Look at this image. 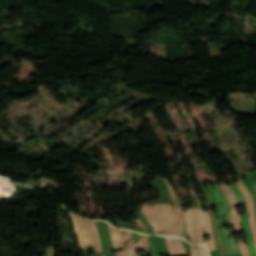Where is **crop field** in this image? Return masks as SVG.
<instances>
[{"instance_id": "2", "label": "crop field", "mask_w": 256, "mask_h": 256, "mask_svg": "<svg viewBox=\"0 0 256 256\" xmlns=\"http://www.w3.org/2000/svg\"><path fill=\"white\" fill-rule=\"evenodd\" d=\"M207 188H208V191L215 203V206H216V209L218 211V215H219V229H220V232H221V236H222V241H223V246H224V249H225V252H226V255L229 256V255H233V251H232V248H231V245L229 243V240H228V237H227V230L223 229L222 228V223H223V207L222 205L220 204V201H219V198L217 197L216 195V192L213 188L212 185L210 184H207L205 183Z\"/></svg>"}, {"instance_id": "16", "label": "crop field", "mask_w": 256, "mask_h": 256, "mask_svg": "<svg viewBox=\"0 0 256 256\" xmlns=\"http://www.w3.org/2000/svg\"><path fill=\"white\" fill-rule=\"evenodd\" d=\"M163 180L165 181V183L167 184V186L169 188V192H170V195L172 197L173 204L177 205V206H181L180 202H179V199H178V196H177V193L174 190L171 182L169 180H167V179H163Z\"/></svg>"}, {"instance_id": "13", "label": "crop field", "mask_w": 256, "mask_h": 256, "mask_svg": "<svg viewBox=\"0 0 256 256\" xmlns=\"http://www.w3.org/2000/svg\"><path fill=\"white\" fill-rule=\"evenodd\" d=\"M108 227L111 235L112 247H113V250H115L120 247L119 231L117 228H113L109 223H108Z\"/></svg>"}, {"instance_id": "5", "label": "crop field", "mask_w": 256, "mask_h": 256, "mask_svg": "<svg viewBox=\"0 0 256 256\" xmlns=\"http://www.w3.org/2000/svg\"><path fill=\"white\" fill-rule=\"evenodd\" d=\"M236 183L239 186L240 190L242 191V193L245 197L246 203L248 205V209H249V213H250L251 231H252L253 239H254V242L256 245V218H255V210H254L253 201H252L250 193L248 192L247 188L244 186L241 178Z\"/></svg>"}, {"instance_id": "28", "label": "crop field", "mask_w": 256, "mask_h": 256, "mask_svg": "<svg viewBox=\"0 0 256 256\" xmlns=\"http://www.w3.org/2000/svg\"><path fill=\"white\" fill-rule=\"evenodd\" d=\"M137 251H138V246L137 244H135V256H138Z\"/></svg>"}, {"instance_id": "21", "label": "crop field", "mask_w": 256, "mask_h": 256, "mask_svg": "<svg viewBox=\"0 0 256 256\" xmlns=\"http://www.w3.org/2000/svg\"><path fill=\"white\" fill-rule=\"evenodd\" d=\"M244 183H245L246 187L249 189L250 193H251L252 196H253L254 205H255V210H256V191H255L254 187L251 185L249 179H248L246 182H244Z\"/></svg>"}, {"instance_id": "27", "label": "crop field", "mask_w": 256, "mask_h": 256, "mask_svg": "<svg viewBox=\"0 0 256 256\" xmlns=\"http://www.w3.org/2000/svg\"><path fill=\"white\" fill-rule=\"evenodd\" d=\"M115 256H124V253H123V251H121V252L116 253Z\"/></svg>"}, {"instance_id": "26", "label": "crop field", "mask_w": 256, "mask_h": 256, "mask_svg": "<svg viewBox=\"0 0 256 256\" xmlns=\"http://www.w3.org/2000/svg\"><path fill=\"white\" fill-rule=\"evenodd\" d=\"M136 234H137V240H138L139 249H144L142 235L137 233V232H136Z\"/></svg>"}, {"instance_id": "7", "label": "crop field", "mask_w": 256, "mask_h": 256, "mask_svg": "<svg viewBox=\"0 0 256 256\" xmlns=\"http://www.w3.org/2000/svg\"><path fill=\"white\" fill-rule=\"evenodd\" d=\"M170 256H187L181 238L165 237Z\"/></svg>"}, {"instance_id": "18", "label": "crop field", "mask_w": 256, "mask_h": 256, "mask_svg": "<svg viewBox=\"0 0 256 256\" xmlns=\"http://www.w3.org/2000/svg\"><path fill=\"white\" fill-rule=\"evenodd\" d=\"M77 218H78V221L80 223V227H81V231H82V234H83V238H84V240L86 242V245L89 246V245H91V243H90V240L88 238V234H87L84 222H83L82 218H80L78 216H77Z\"/></svg>"}, {"instance_id": "23", "label": "crop field", "mask_w": 256, "mask_h": 256, "mask_svg": "<svg viewBox=\"0 0 256 256\" xmlns=\"http://www.w3.org/2000/svg\"><path fill=\"white\" fill-rule=\"evenodd\" d=\"M148 242H149V247H150V250H151V255L156 256L155 249H154V244H153V239H152L151 235H148Z\"/></svg>"}, {"instance_id": "11", "label": "crop field", "mask_w": 256, "mask_h": 256, "mask_svg": "<svg viewBox=\"0 0 256 256\" xmlns=\"http://www.w3.org/2000/svg\"><path fill=\"white\" fill-rule=\"evenodd\" d=\"M193 210H194V217H195L196 240H197V243H203L202 232H201V226H202L201 211L199 209H196V208H193Z\"/></svg>"}, {"instance_id": "3", "label": "crop field", "mask_w": 256, "mask_h": 256, "mask_svg": "<svg viewBox=\"0 0 256 256\" xmlns=\"http://www.w3.org/2000/svg\"><path fill=\"white\" fill-rule=\"evenodd\" d=\"M229 186L232 189V191L234 192L238 202L245 203L244 197H243L241 191L239 190V188L237 187L236 183L230 184ZM245 207H246V205H245ZM241 222H242V231H244V233H245V238H246V241H247L246 245L249 249L250 256H256V251H255V248H254V246L251 242V237H250V230H249L248 217H247V209H245L244 216L241 217Z\"/></svg>"}, {"instance_id": "4", "label": "crop field", "mask_w": 256, "mask_h": 256, "mask_svg": "<svg viewBox=\"0 0 256 256\" xmlns=\"http://www.w3.org/2000/svg\"><path fill=\"white\" fill-rule=\"evenodd\" d=\"M223 206H224V215H225V225H229V222H230V212H229V203L226 199V196L222 190V188L220 187L219 184H216V185H213ZM234 232V229H230L229 227V236H230V242H231V245H232V248H233V251L235 254H238V253H241L240 250H239V247L238 245L236 244V240H234L232 237H231V233Z\"/></svg>"}, {"instance_id": "25", "label": "crop field", "mask_w": 256, "mask_h": 256, "mask_svg": "<svg viewBox=\"0 0 256 256\" xmlns=\"http://www.w3.org/2000/svg\"><path fill=\"white\" fill-rule=\"evenodd\" d=\"M198 247H199V252L201 256H209L205 246L198 245Z\"/></svg>"}, {"instance_id": "8", "label": "crop field", "mask_w": 256, "mask_h": 256, "mask_svg": "<svg viewBox=\"0 0 256 256\" xmlns=\"http://www.w3.org/2000/svg\"><path fill=\"white\" fill-rule=\"evenodd\" d=\"M120 231V237H121V243L122 247L124 248V252L126 256H134V242L130 231L127 230H121Z\"/></svg>"}, {"instance_id": "9", "label": "crop field", "mask_w": 256, "mask_h": 256, "mask_svg": "<svg viewBox=\"0 0 256 256\" xmlns=\"http://www.w3.org/2000/svg\"><path fill=\"white\" fill-rule=\"evenodd\" d=\"M95 222H96L98 232H99V236H100V239H101L103 252L106 256H109L108 251H112V248H111V242H110V236H109L107 224H106V222H102V226H103L105 237H106L108 251H107V248H106L105 237H104L103 229H102V226H101V222L100 221H95ZM110 256H114V255H110Z\"/></svg>"}, {"instance_id": "19", "label": "crop field", "mask_w": 256, "mask_h": 256, "mask_svg": "<svg viewBox=\"0 0 256 256\" xmlns=\"http://www.w3.org/2000/svg\"><path fill=\"white\" fill-rule=\"evenodd\" d=\"M84 222H85L87 230H88V234H89L92 246H93L94 253L97 254V250H96V246H95V239H94V236H93V233H92L89 221L84 218Z\"/></svg>"}, {"instance_id": "24", "label": "crop field", "mask_w": 256, "mask_h": 256, "mask_svg": "<svg viewBox=\"0 0 256 256\" xmlns=\"http://www.w3.org/2000/svg\"><path fill=\"white\" fill-rule=\"evenodd\" d=\"M190 249H191V253H192L191 256H200L199 252H198L197 245H190Z\"/></svg>"}, {"instance_id": "20", "label": "crop field", "mask_w": 256, "mask_h": 256, "mask_svg": "<svg viewBox=\"0 0 256 256\" xmlns=\"http://www.w3.org/2000/svg\"><path fill=\"white\" fill-rule=\"evenodd\" d=\"M136 213L138 214V216L140 217V219L142 220V222L144 223L145 227H146V231L147 233H153V229L150 226V224L148 223L147 219L143 216L142 212L140 210H137Z\"/></svg>"}, {"instance_id": "15", "label": "crop field", "mask_w": 256, "mask_h": 256, "mask_svg": "<svg viewBox=\"0 0 256 256\" xmlns=\"http://www.w3.org/2000/svg\"><path fill=\"white\" fill-rule=\"evenodd\" d=\"M70 215H71L72 221L74 223L75 232H76V235H77V237L79 239L80 246H81L82 249H84L86 247H85L84 242H83V238H82V235H81L79 224H78V222L76 220V216L73 215L72 213H70Z\"/></svg>"}, {"instance_id": "17", "label": "crop field", "mask_w": 256, "mask_h": 256, "mask_svg": "<svg viewBox=\"0 0 256 256\" xmlns=\"http://www.w3.org/2000/svg\"><path fill=\"white\" fill-rule=\"evenodd\" d=\"M90 224H91V227H92L95 239H96L98 254H102L103 252H102V249H101V244H100V240H99V236H98V232H97V228H96L95 222L94 221H90Z\"/></svg>"}, {"instance_id": "1", "label": "crop field", "mask_w": 256, "mask_h": 256, "mask_svg": "<svg viewBox=\"0 0 256 256\" xmlns=\"http://www.w3.org/2000/svg\"><path fill=\"white\" fill-rule=\"evenodd\" d=\"M152 208H153L155 214L159 217V219L164 223V225L166 227L178 222L172 204H169V203L158 204V205H153ZM152 208L148 202L142 204L140 207V209L145 214L148 221L151 223L154 231H156L161 228H164L165 226L154 214ZM167 230L170 233V235H172V236H180L179 223L167 227ZM167 230L164 228V229L154 232V234L169 235Z\"/></svg>"}, {"instance_id": "22", "label": "crop field", "mask_w": 256, "mask_h": 256, "mask_svg": "<svg viewBox=\"0 0 256 256\" xmlns=\"http://www.w3.org/2000/svg\"><path fill=\"white\" fill-rule=\"evenodd\" d=\"M237 243H238V245H239V247H240V250H241V252H242V255H243V256H249V253H248V250H247V248H246V246H245V243L242 242V241H239V240H237Z\"/></svg>"}, {"instance_id": "6", "label": "crop field", "mask_w": 256, "mask_h": 256, "mask_svg": "<svg viewBox=\"0 0 256 256\" xmlns=\"http://www.w3.org/2000/svg\"><path fill=\"white\" fill-rule=\"evenodd\" d=\"M221 186L224 189V191L229 199L230 205L233 207V209L231 211V225L233 227H235V232L241 231V226H240V221H239V213L235 207L237 204L236 198L228 185L221 184Z\"/></svg>"}, {"instance_id": "14", "label": "crop field", "mask_w": 256, "mask_h": 256, "mask_svg": "<svg viewBox=\"0 0 256 256\" xmlns=\"http://www.w3.org/2000/svg\"><path fill=\"white\" fill-rule=\"evenodd\" d=\"M174 209L176 211L177 217H178L180 225H181V236L184 237L187 240V238H186V228H185V222H184L182 210H181V208L175 207V206H174Z\"/></svg>"}, {"instance_id": "12", "label": "crop field", "mask_w": 256, "mask_h": 256, "mask_svg": "<svg viewBox=\"0 0 256 256\" xmlns=\"http://www.w3.org/2000/svg\"><path fill=\"white\" fill-rule=\"evenodd\" d=\"M184 214L186 218L187 231L191 235L193 242L196 243L195 234H194V219H193L192 208L184 211Z\"/></svg>"}, {"instance_id": "10", "label": "crop field", "mask_w": 256, "mask_h": 256, "mask_svg": "<svg viewBox=\"0 0 256 256\" xmlns=\"http://www.w3.org/2000/svg\"><path fill=\"white\" fill-rule=\"evenodd\" d=\"M203 220H204V235L209 234V240L206 241L208 245V249L209 250L215 249L213 238H212L211 221L207 212L203 213Z\"/></svg>"}]
</instances>
